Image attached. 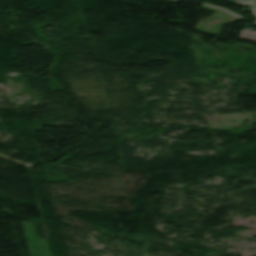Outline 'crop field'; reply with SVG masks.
I'll return each instance as SVG.
<instances>
[{"mask_svg":"<svg viewBox=\"0 0 256 256\" xmlns=\"http://www.w3.org/2000/svg\"><path fill=\"white\" fill-rule=\"evenodd\" d=\"M241 37L256 41V32L250 30H242Z\"/></svg>","mask_w":256,"mask_h":256,"instance_id":"1","label":"crop field"},{"mask_svg":"<svg viewBox=\"0 0 256 256\" xmlns=\"http://www.w3.org/2000/svg\"><path fill=\"white\" fill-rule=\"evenodd\" d=\"M227 2H231V3H236V4H241V5H248V6H252L254 0H225Z\"/></svg>","mask_w":256,"mask_h":256,"instance_id":"2","label":"crop field"},{"mask_svg":"<svg viewBox=\"0 0 256 256\" xmlns=\"http://www.w3.org/2000/svg\"><path fill=\"white\" fill-rule=\"evenodd\" d=\"M253 7L256 8V1H255V3H254Z\"/></svg>","mask_w":256,"mask_h":256,"instance_id":"3","label":"crop field"},{"mask_svg":"<svg viewBox=\"0 0 256 256\" xmlns=\"http://www.w3.org/2000/svg\"><path fill=\"white\" fill-rule=\"evenodd\" d=\"M253 10H254V12H255V14H256V9L253 8Z\"/></svg>","mask_w":256,"mask_h":256,"instance_id":"4","label":"crop field"}]
</instances>
